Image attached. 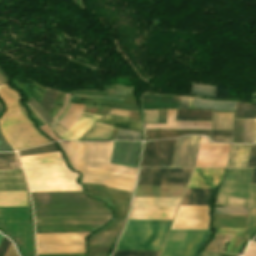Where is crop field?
<instances>
[{
  "label": "crop field",
  "mask_w": 256,
  "mask_h": 256,
  "mask_svg": "<svg viewBox=\"0 0 256 256\" xmlns=\"http://www.w3.org/2000/svg\"><path fill=\"white\" fill-rule=\"evenodd\" d=\"M252 242H256V238H254V239L252 240Z\"/></svg>",
  "instance_id": "67"
},
{
  "label": "crop field",
  "mask_w": 256,
  "mask_h": 256,
  "mask_svg": "<svg viewBox=\"0 0 256 256\" xmlns=\"http://www.w3.org/2000/svg\"><path fill=\"white\" fill-rule=\"evenodd\" d=\"M58 94V91L47 89L44 97L40 101V105L43 107V109L48 113V111L51 109L53 102Z\"/></svg>",
  "instance_id": "39"
},
{
  "label": "crop field",
  "mask_w": 256,
  "mask_h": 256,
  "mask_svg": "<svg viewBox=\"0 0 256 256\" xmlns=\"http://www.w3.org/2000/svg\"><path fill=\"white\" fill-rule=\"evenodd\" d=\"M86 186L90 195L114 201L115 220L127 218L133 193L88 184Z\"/></svg>",
  "instance_id": "12"
},
{
  "label": "crop field",
  "mask_w": 256,
  "mask_h": 256,
  "mask_svg": "<svg viewBox=\"0 0 256 256\" xmlns=\"http://www.w3.org/2000/svg\"><path fill=\"white\" fill-rule=\"evenodd\" d=\"M87 192L31 193L35 217L112 215Z\"/></svg>",
  "instance_id": "1"
},
{
  "label": "crop field",
  "mask_w": 256,
  "mask_h": 256,
  "mask_svg": "<svg viewBox=\"0 0 256 256\" xmlns=\"http://www.w3.org/2000/svg\"><path fill=\"white\" fill-rule=\"evenodd\" d=\"M145 122H157V110H144Z\"/></svg>",
  "instance_id": "50"
},
{
  "label": "crop field",
  "mask_w": 256,
  "mask_h": 256,
  "mask_svg": "<svg viewBox=\"0 0 256 256\" xmlns=\"http://www.w3.org/2000/svg\"><path fill=\"white\" fill-rule=\"evenodd\" d=\"M207 230H170L162 251L199 250Z\"/></svg>",
  "instance_id": "7"
},
{
  "label": "crop field",
  "mask_w": 256,
  "mask_h": 256,
  "mask_svg": "<svg viewBox=\"0 0 256 256\" xmlns=\"http://www.w3.org/2000/svg\"><path fill=\"white\" fill-rule=\"evenodd\" d=\"M243 119H234V142L242 143Z\"/></svg>",
  "instance_id": "47"
},
{
  "label": "crop field",
  "mask_w": 256,
  "mask_h": 256,
  "mask_svg": "<svg viewBox=\"0 0 256 256\" xmlns=\"http://www.w3.org/2000/svg\"><path fill=\"white\" fill-rule=\"evenodd\" d=\"M114 139H137V140H141V132L119 129Z\"/></svg>",
  "instance_id": "44"
},
{
  "label": "crop field",
  "mask_w": 256,
  "mask_h": 256,
  "mask_svg": "<svg viewBox=\"0 0 256 256\" xmlns=\"http://www.w3.org/2000/svg\"><path fill=\"white\" fill-rule=\"evenodd\" d=\"M210 140L214 142L233 143V137H210Z\"/></svg>",
  "instance_id": "54"
},
{
  "label": "crop field",
  "mask_w": 256,
  "mask_h": 256,
  "mask_svg": "<svg viewBox=\"0 0 256 256\" xmlns=\"http://www.w3.org/2000/svg\"><path fill=\"white\" fill-rule=\"evenodd\" d=\"M141 143L114 142L111 162L137 168Z\"/></svg>",
  "instance_id": "14"
},
{
  "label": "crop field",
  "mask_w": 256,
  "mask_h": 256,
  "mask_svg": "<svg viewBox=\"0 0 256 256\" xmlns=\"http://www.w3.org/2000/svg\"><path fill=\"white\" fill-rule=\"evenodd\" d=\"M28 206L26 192H0V207Z\"/></svg>",
  "instance_id": "26"
},
{
  "label": "crop field",
  "mask_w": 256,
  "mask_h": 256,
  "mask_svg": "<svg viewBox=\"0 0 256 256\" xmlns=\"http://www.w3.org/2000/svg\"><path fill=\"white\" fill-rule=\"evenodd\" d=\"M176 110H168L167 124H145L146 129H205L211 122L175 121ZM184 124V125H182ZM196 124V126H195Z\"/></svg>",
  "instance_id": "15"
},
{
  "label": "crop field",
  "mask_w": 256,
  "mask_h": 256,
  "mask_svg": "<svg viewBox=\"0 0 256 256\" xmlns=\"http://www.w3.org/2000/svg\"><path fill=\"white\" fill-rule=\"evenodd\" d=\"M30 192L82 191L66 164L23 165Z\"/></svg>",
  "instance_id": "3"
},
{
  "label": "crop field",
  "mask_w": 256,
  "mask_h": 256,
  "mask_svg": "<svg viewBox=\"0 0 256 256\" xmlns=\"http://www.w3.org/2000/svg\"><path fill=\"white\" fill-rule=\"evenodd\" d=\"M12 245V244H11ZM11 247V246H10ZM10 249V248H9ZM9 251V250H8ZM8 253V252H7ZM7 255V254H6ZM7 256H18L17 253L15 252L13 246L11 247L9 253Z\"/></svg>",
  "instance_id": "62"
},
{
  "label": "crop field",
  "mask_w": 256,
  "mask_h": 256,
  "mask_svg": "<svg viewBox=\"0 0 256 256\" xmlns=\"http://www.w3.org/2000/svg\"><path fill=\"white\" fill-rule=\"evenodd\" d=\"M98 122L107 124V125H111V126H115V127L141 131L140 122L130 121V120H126V119L119 118V117L106 115L104 118H102Z\"/></svg>",
  "instance_id": "27"
},
{
  "label": "crop field",
  "mask_w": 256,
  "mask_h": 256,
  "mask_svg": "<svg viewBox=\"0 0 256 256\" xmlns=\"http://www.w3.org/2000/svg\"><path fill=\"white\" fill-rule=\"evenodd\" d=\"M105 224L35 226L36 233L94 232Z\"/></svg>",
  "instance_id": "19"
},
{
  "label": "crop field",
  "mask_w": 256,
  "mask_h": 256,
  "mask_svg": "<svg viewBox=\"0 0 256 256\" xmlns=\"http://www.w3.org/2000/svg\"><path fill=\"white\" fill-rule=\"evenodd\" d=\"M251 146L233 145L229 167H247Z\"/></svg>",
  "instance_id": "24"
},
{
  "label": "crop field",
  "mask_w": 256,
  "mask_h": 256,
  "mask_svg": "<svg viewBox=\"0 0 256 256\" xmlns=\"http://www.w3.org/2000/svg\"><path fill=\"white\" fill-rule=\"evenodd\" d=\"M167 110H158V123H166Z\"/></svg>",
  "instance_id": "56"
},
{
  "label": "crop field",
  "mask_w": 256,
  "mask_h": 256,
  "mask_svg": "<svg viewBox=\"0 0 256 256\" xmlns=\"http://www.w3.org/2000/svg\"><path fill=\"white\" fill-rule=\"evenodd\" d=\"M234 107H235V103H231V102H213V101L199 100L195 98V108L234 111Z\"/></svg>",
  "instance_id": "31"
},
{
  "label": "crop field",
  "mask_w": 256,
  "mask_h": 256,
  "mask_svg": "<svg viewBox=\"0 0 256 256\" xmlns=\"http://www.w3.org/2000/svg\"><path fill=\"white\" fill-rule=\"evenodd\" d=\"M38 256H85V254H57V255H38Z\"/></svg>",
  "instance_id": "61"
},
{
  "label": "crop field",
  "mask_w": 256,
  "mask_h": 256,
  "mask_svg": "<svg viewBox=\"0 0 256 256\" xmlns=\"http://www.w3.org/2000/svg\"><path fill=\"white\" fill-rule=\"evenodd\" d=\"M10 241L7 240L6 238H3L1 244H0V256H4L9 245H10Z\"/></svg>",
  "instance_id": "53"
},
{
  "label": "crop field",
  "mask_w": 256,
  "mask_h": 256,
  "mask_svg": "<svg viewBox=\"0 0 256 256\" xmlns=\"http://www.w3.org/2000/svg\"><path fill=\"white\" fill-rule=\"evenodd\" d=\"M234 112H213L212 129H232Z\"/></svg>",
  "instance_id": "29"
},
{
  "label": "crop field",
  "mask_w": 256,
  "mask_h": 256,
  "mask_svg": "<svg viewBox=\"0 0 256 256\" xmlns=\"http://www.w3.org/2000/svg\"><path fill=\"white\" fill-rule=\"evenodd\" d=\"M251 184H256V169H253Z\"/></svg>",
  "instance_id": "63"
},
{
  "label": "crop field",
  "mask_w": 256,
  "mask_h": 256,
  "mask_svg": "<svg viewBox=\"0 0 256 256\" xmlns=\"http://www.w3.org/2000/svg\"><path fill=\"white\" fill-rule=\"evenodd\" d=\"M215 228L246 227L247 215H213Z\"/></svg>",
  "instance_id": "22"
},
{
  "label": "crop field",
  "mask_w": 256,
  "mask_h": 256,
  "mask_svg": "<svg viewBox=\"0 0 256 256\" xmlns=\"http://www.w3.org/2000/svg\"><path fill=\"white\" fill-rule=\"evenodd\" d=\"M22 164L64 163L61 152L20 157Z\"/></svg>",
  "instance_id": "25"
},
{
  "label": "crop field",
  "mask_w": 256,
  "mask_h": 256,
  "mask_svg": "<svg viewBox=\"0 0 256 256\" xmlns=\"http://www.w3.org/2000/svg\"><path fill=\"white\" fill-rule=\"evenodd\" d=\"M234 117L256 118V107L242 102L236 103Z\"/></svg>",
  "instance_id": "35"
},
{
  "label": "crop field",
  "mask_w": 256,
  "mask_h": 256,
  "mask_svg": "<svg viewBox=\"0 0 256 256\" xmlns=\"http://www.w3.org/2000/svg\"><path fill=\"white\" fill-rule=\"evenodd\" d=\"M0 151H13L4 141L0 133Z\"/></svg>",
  "instance_id": "57"
},
{
  "label": "crop field",
  "mask_w": 256,
  "mask_h": 256,
  "mask_svg": "<svg viewBox=\"0 0 256 256\" xmlns=\"http://www.w3.org/2000/svg\"><path fill=\"white\" fill-rule=\"evenodd\" d=\"M243 256H256V245H248Z\"/></svg>",
  "instance_id": "55"
},
{
  "label": "crop field",
  "mask_w": 256,
  "mask_h": 256,
  "mask_svg": "<svg viewBox=\"0 0 256 256\" xmlns=\"http://www.w3.org/2000/svg\"><path fill=\"white\" fill-rule=\"evenodd\" d=\"M0 191H26L22 171L1 170Z\"/></svg>",
  "instance_id": "17"
},
{
  "label": "crop field",
  "mask_w": 256,
  "mask_h": 256,
  "mask_svg": "<svg viewBox=\"0 0 256 256\" xmlns=\"http://www.w3.org/2000/svg\"><path fill=\"white\" fill-rule=\"evenodd\" d=\"M3 109H2V105L0 104V114L2 113Z\"/></svg>",
  "instance_id": "66"
},
{
  "label": "crop field",
  "mask_w": 256,
  "mask_h": 256,
  "mask_svg": "<svg viewBox=\"0 0 256 256\" xmlns=\"http://www.w3.org/2000/svg\"><path fill=\"white\" fill-rule=\"evenodd\" d=\"M109 114L118 115V116H122V117H126L127 118L128 111L113 109V110H111L109 112Z\"/></svg>",
  "instance_id": "59"
},
{
  "label": "crop field",
  "mask_w": 256,
  "mask_h": 256,
  "mask_svg": "<svg viewBox=\"0 0 256 256\" xmlns=\"http://www.w3.org/2000/svg\"><path fill=\"white\" fill-rule=\"evenodd\" d=\"M256 231V185H251L247 235Z\"/></svg>",
  "instance_id": "28"
},
{
  "label": "crop field",
  "mask_w": 256,
  "mask_h": 256,
  "mask_svg": "<svg viewBox=\"0 0 256 256\" xmlns=\"http://www.w3.org/2000/svg\"><path fill=\"white\" fill-rule=\"evenodd\" d=\"M160 251H115L113 256H159Z\"/></svg>",
  "instance_id": "41"
},
{
  "label": "crop field",
  "mask_w": 256,
  "mask_h": 256,
  "mask_svg": "<svg viewBox=\"0 0 256 256\" xmlns=\"http://www.w3.org/2000/svg\"><path fill=\"white\" fill-rule=\"evenodd\" d=\"M171 222L129 220L116 250H160Z\"/></svg>",
  "instance_id": "4"
},
{
  "label": "crop field",
  "mask_w": 256,
  "mask_h": 256,
  "mask_svg": "<svg viewBox=\"0 0 256 256\" xmlns=\"http://www.w3.org/2000/svg\"><path fill=\"white\" fill-rule=\"evenodd\" d=\"M200 136H186L175 141L171 167H195Z\"/></svg>",
  "instance_id": "13"
},
{
  "label": "crop field",
  "mask_w": 256,
  "mask_h": 256,
  "mask_svg": "<svg viewBox=\"0 0 256 256\" xmlns=\"http://www.w3.org/2000/svg\"><path fill=\"white\" fill-rule=\"evenodd\" d=\"M247 239V237L233 236L228 244L225 254L236 256L240 246Z\"/></svg>",
  "instance_id": "40"
},
{
  "label": "crop field",
  "mask_w": 256,
  "mask_h": 256,
  "mask_svg": "<svg viewBox=\"0 0 256 256\" xmlns=\"http://www.w3.org/2000/svg\"><path fill=\"white\" fill-rule=\"evenodd\" d=\"M176 210L132 209L129 219L172 220Z\"/></svg>",
  "instance_id": "21"
},
{
  "label": "crop field",
  "mask_w": 256,
  "mask_h": 256,
  "mask_svg": "<svg viewBox=\"0 0 256 256\" xmlns=\"http://www.w3.org/2000/svg\"><path fill=\"white\" fill-rule=\"evenodd\" d=\"M251 169H228L216 205L248 206Z\"/></svg>",
  "instance_id": "5"
},
{
  "label": "crop field",
  "mask_w": 256,
  "mask_h": 256,
  "mask_svg": "<svg viewBox=\"0 0 256 256\" xmlns=\"http://www.w3.org/2000/svg\"><path fill=\"white\" fill-rule=\"evenodd\" d=\"M217 87L191 84L190 94L203 95L216 98Z\"/></svg>",
  "instance_id": "37"
},
{
  "label": "crop field",
  "mask_w": 256,
  "mask_h": 256,
  "mask_svg": "<svg viewBox=\"0 0 256 256\" xmlns=\"http://www.w3.org/2000/svg\"><path fill=\"white\" fill-rule=\"evenodd\" d=\"M176 119L211 120V110H177Z\"/></svg>",
  "instance_id": "32"
},
{
  "label": "crop field",
  "mask_w": 256,
  "mask_h": 256,
  "mask_svg": "<svg viewBox=\"0 0 256 256\" xmlns=\"http://www.w3.org/2000/svg\"><path fill=\"white\" fill-rule=\"evenodd\" d=\"M174 141L175 139L146 143L141 166L170 167Z\"/></svg>",
  "instance_id": "11"
},
{
  "label": "crop field",
  "mask_w": 256,
  "mask_h": 256,
  "mask_svg": "<svg viewBox=\"0 0 256 256\" xmlns=\"http://www.w3.org/2000/svg\"><path fill=\"white\" fill-rule=\"evenodd\" d=\"M0 95L5 99L9 110L1 121L4 135L15 150L34 147L50 142L39 134L26 115L21 97L10 87L0 86Z\"/></svg>",
  "instance_id": "2"
},
{
  "label": "crop field",
  "mask_w": 256,
  "mask_h": 256,
  "mask_svg": "<svg viewBox=\"0 0 256 256\" xmlns=\"http://www.w3.org/2000/svg\"><path fill=\"white\" fill-rule=\"evenodd\" d=\"M223 240H224V235H215V239L209 245L206 246L204 251L220 252Z\"/></svg>",
  "instance_id": "46"
},
{
  "label": "crop field",
  "mask_w": 256,
  "mask_h": 256,
  "mask_svg": "<svg viewBox=\"0 0 256 256\" xmlns=\"http://www.w3.org/2000/svg\"><path fill=\"white\" fill-rule=\"evenodd\" d=\"M253 142H256V119H254Z\"/></svg>",
  "instance_id": "64"
},
{
  "label": "crop field",
  "mask_w": 256,
  "mask_h": 256,
  "mask_svg": "<svg viewBox=\"0 0 256 256\" xmlns=\"http://www.w3.org/2000/svg\"><path fill=\"white\" fill-rule=\"evenodd\" d=\"M2 237H3V236H2V235H0V241H1Z\"/></svg>",
  "instance_id": "68"
},
{
  "label": "crop field",
  "mask_w": 256,
  "mask_h": 256,
  "mask_svg": "<svg viewBox=\"0 0 256 256\" xmlns=\"http://www.w3.org/2000/svg\"><path fill=\"white\" fill-rule=\"evenodd\" d=\"M84 106L85 105L71 104L69 112L57 124L67 130L81 116Z\"/></svg>",
  "instance_id": "33"
},
{
  "label": "crop field",
  "mask_w": 256,
  "mask_h": 256,
  "mask_svg": "<svg viewBox=\"0 0 256 256\" xmlns=\"http://www.w3.org/2000/svg\"><path fill=\"white\" fill-rule=\"evenodd\" d=\"M73 98H82V99H99V100H113L121 101V98H112V97H100V96H82V95H73Z\"/></svg>",
  "instance_id": "51"
},
{
  "label": "crop field",
  "mask_w": 256,
  "mask_h": 256,
  "mask_svg": "<svg viewBox=\"0 0 256 256\" xmlns=\"http://www.w3.org/2000/svg\"><path fill=\"white\" fill-rule=\"evenodd\" d=\"M208 206H180L170 229H207Z\"/></svg>",
  "instance_id": "10"
},
{
  "label": "crop field",
  "mask_w": 256,
  "mask_h": 256,
  "mask_svg": "<svg viewBox=\"0 0 256 256\" xmlns=\"http://www.w3.org/2000/svg\"><path fill=\"white\" fill-rule=\"evenodd\" d=\"M56 151H59V150L56 147L55 143H53V144L21 151L19 152V155L24 156V155H32V154H40V153H48V152H56Z\"/></svg>",
  "instance_id": "38"
},
{
  "label": "crop field",
  "mask_w": 256,
  "mask_h": 256,
  "mask_svg": "<svg viewBox=\"0 0 256 256\" xmlns=\"http://www.w3.org/2000/svg\"><path fill=\"white\" fill-rule=\"evenodd\" d=\"M246 228L218 229L216 234L245 235Z\"/></svg>",
  "instance_id": "48"
},
{
  "label": "crop field",
  "mask_w": 256,
  "mask_h": 256,
  "mask_svg": "<svg viewBox=\"0 0 256 256\" xmlns=\"http://www.w3.org/2000/svg\"><path fill=\"white\" fill-rule=\"evenodd\" d=\"M231 144H213L201 136L196 167H226Z\"/></svg>",
  "instance_id": "8"
},
{
  "label": "crop field",
  "mask_w": 256,
  "mask_h": 256,
  "mask_svg": "<svg viewBox=\"0 0 256 256\" xmlns=\"http://www.w3.org/2000/svg\"><path fill=\"white\" fill-rule=\"evenodd\" d=\"M210 136H232V131H212Z\"/></svg>",
  "instance_id": "58"
},
{
  "label": "crop field",
  "mask_w": 256,
  "mask_h": 256,
  "mask_svg": "<svg viewBox=\"0 0 256 256\" xmlns=\"http://www.w3.org/2000/svg\"><path fill=\"white\" fill-rule=\"evenodd\" d=\"M126 220L111 221L88 240L87 256H106Z\"/></svg>",
  "instance_id": "9"
},
{
  "label": "crop field",
  "mask_w": 256,
  "mask_h": 256,
  "mask_svg": "<svg viewBox=\"0 0 256 256\" xmlns=\"http://www.w3.org/2000/svg\"><path fill=\"white\" fill-rule=\"evenodd\" d=\"M192 169L141 168L138 185L185 186Z\"/></svg>",
  "instance_id": "6"
},
{
  "label": "crop field",
  "mask_w": 256,
  "mask_h": 256,
  "mask_svg": "<svg viewBox=\"0 0 256 256\" xmlns=\"http://www.w3.org/2000/svg\"><path fill=\"white\" fill-rule=\"evenodd\" d=\"M200 256H222V254H208V253H201Z\"/></svg>",
  "instance_id": "65"
},
{
  "label": "crop field",
  "mask_w": 256,
  "mask_h": 256,
  "mask_svg": "<svg viewBox=\"0 0 256 256\" xmlns=\"http://www.w3.org/2000/svg\"><path fill=\"white\" fill-rule=\"evenodd\" d=\"M1 169H21L16 153H0Z\"/></svg>",
  "instance_id": "34"
},
{
  "label": "crop field",
  "mask_w": 256,
  "mask_h": 256,
  "mask_svg": "<svg viewBox=\"0 0 256 256\" xmlns=\"http://www.w3.org/2000/svg\"><path fill=\"white\" fill-rule=\"evenodd\" d=\"M180 108L188 109V98L180 97Z\"/></svg>",
  "instance_id": "60"
},
{
  "label": "crop field",
  "mask_w": 256,
  "mask_h": 256,
  "mask_svg": "<svg viewBox=\"0 0 256 256\" xmlns=\"http://www.w3.org/2000/svg\"><path fill=\"white\" fill-rule=\"evenodd\" d=\"M58 144L66 153L72 168L77 170V142H72V144L58 142Z\"/></svg>",
  "instance_id": "36"
},
{
  "label": "crop field",
  "mask_w": 256,
  "mask_h": 256,
  "mask_svg": "<svg viewBox=\"0 0 256 256\" xmlns=\"http://www.w3.org/2000/svg\"><path fill=\"white\" fill-rule=\"evenodd\" d=\"M30 105H31V107L38 113V115L44 120V122L46 123V124H48L49 122H51L52 120L50 119V117L46 114V112L36 103V101L33 99V97L31 98V100L28 102ZM27 103V104H28ZM28 104V105H29ZM30 105H29V107H30ZM30 107V108H31ZM31 108V109H32ZM32 109V110H33ZM33 110V111H34ZM34 111V113L36 114V112ZM37 115V114H36ZM37 115V116H38ZM38 116V118L43 122V120L40 118ZM43 122V124L44 125H46L45 123Z\"/></svg>",
  "instance_id": "43"
},
{
  "label": "crop field",
  "mask_w": 256,
  "mask_h": 256,
  "mask_svg": "<svg viewBox=\"0 0 256 256\" xmlns=\"http://www.w3.org/2000/svg\"><path fill=\"white\" fill-rule=\"evenodd\" d=\"M210 189H187L180 205H206Z\"/></svg>",
  "instance_id": "23"
},
{
  "label": "crop field",
  "mask_w": 256,
  "mask_h": 256,
  "mask_svg": "<svg viewBox=\"0 0 256 256\" xmlns=\"http://www.w3.org/2000/svg\"><path fill=\"white\" fill-rule=\"evenodd\" d=\"M198 251L162 252L161 256H196Z\"/></svg>",
  "instance_id": "49"
},
{
  "label": "crop field",
  "mask_w": 256,
  "mask_h": 256,
  "mask_svg": "<svg viewBox=\"0 0 256 256\" xmlns=\"http://www.w3.org/2000/svg\"><path fill=\"white\" fill-rule=\"evenodd\" d=\"M185 187L138 186L135 196L181 197Z\"/></svg>",
  "instance_id": "20"
},
{
  "label": "crop field",
  "mask_w": 256,
  "mask_h": 256,
  "mask_svg": "<svg viewBox=\"0 0 256 256\" xmlns=\"http://www.w3.org/2000/svg\"><path fill=\"white\" fill-rule=\"evenodd\" d=\"M111 216L35 218V225L108 223Z\"/></svg>",
  "instance_id": "16"
},
{
  "label": "crop field",
  "mask_w": 256,
  "mask_h": 256,
  "mask_svg": "<svg viewBox=\"0 0 256 256\" xmlns=\"http://www.w3.org/2000/svg\"><path fill=\"white\" fill-rule=\"evenodd\" d=\"M248 167H256V145H252Z\"/></svg>",
  "instance_id": "52"
},
{
  "label": "crop field",
  "mask_w": 256,
  "mask_h": 256,
  "mask_svg": "<svg viewBox=\"0 0 256 256\" xmlns=\"http://www.w3.org/2000/svg\"><path fill=\"white\" fill-rule=\"evenodd\" d=\"M248 207H214V213L247 214Z\"/></svg>",
  "instance_id": "42"
},
{
  "label": "crop field",
  "mask_w": 256,
  "mask_h": 256,
  "mask_svg": "<svg viewBox=\"0 0 256 256\" xmlns=\"http://www.w3.org/2000/svg\"><path fill=\"white\" fill-rule=\"evenodd\" d=\"M210 131H146V139H160L179 136L181 134L209 135Z\"/></svg>",
  "instance_id": "30"
},
{
  "label": "crop field",
  "mask_w": 256,
  "mask_h": 256,
  "mask_svg": "<svg viewBox=\"0 0 256 256\" xmlns=\"http://www.w3.org/2000/svg\"><path fill=\"white\" fill-rule=\"evenodd\" d=\"M253 119H244L243 143H252Z\"/></svg>",
  "instance_id": "45"
},
{
  "label": "crop field",
  "mask_w": 256,
  "mask_h": 256,
  "mask_svg": "<svg viewBox=\"0 0 256 256\" xmlns=\"http://www.w3.org/2000/svg\"><path fill=\"white\" fill-rule=\"evenodd\" d=\"M181 198L135 197L132 208L176 209Z\"/></svg>",
  "instance_id": "18"
}]
</instances>
